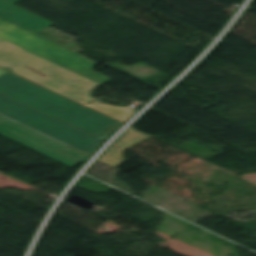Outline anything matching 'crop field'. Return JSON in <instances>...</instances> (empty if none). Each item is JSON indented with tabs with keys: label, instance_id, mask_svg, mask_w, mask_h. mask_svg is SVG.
I'll return each mask as SVG.
<instances>
[{
	"label": "crop field",
	"instance_id": "obj_1",
	"mask_svg": "<svg viewBox=\"0 0 256 256\" xmlns=\"http://www.w3.org/2000/svg\"><path fill=\"white\" fill-rule=\"evenodd\" d=\"M0 92L102 139L112 132L106 127L116 122L11 73L0 77Z\"/></svg>",
	"mask_w": 256,
	"mask_h": 256
},
{
	"label": "crop field",
	"instance_id": "obj_2",
	"mask_svg": "<svg viewBox=\"0 0 256 256\" xmlns=\"http://www.w3.org/2000/svg\"><path fill=\"white\" fill-rule=\"evenodd\" d=\"M0 114L90 155L100 145V138L1 93Z\"/></svg>",
	"mask_w": 256,
	"mask_h": 256
},
{
	"label": "crop field",
	"instance_id": "obj_3",
	"mask_svg": "<svg viewBox=\"0 0 256 256\" xmlns=\"http://www.w3.org/2000/svg\"><path fill=\"white\" fill-rule=\"evenodd\" d=\"M0 38L56 62L100 84L112 79L91 70L96 62L0 19Z\"/></svg>",
	"mask_w": 256,
	"mask_h": 256
},
{
	"label": "crop field",
	"instance_id": "obj_4",
	"mask_svg": "<svg viewBox=\"0 0 256 256\" xmlns=\"http://www.w3.org/2000/svg\"><path fill=\"white\" fill-rule=\"evenodd\" d=\"M0 135L69 167L88 156L0 116Z\"/></svg>",
	"mask_w": 256,
	"mask_h": 256
},
{
	"label": "crop field",
	"instance_id": "obj_5",
	"mask_svg": "<svg viewBox=\"0 0 256 256\" xmlns=\"http://www.w3.org/2000/svg\"><path fill=\"white\" fill-rule=\"evenodd\" d=\"M21 0H0V18L33 34L53 24L13 4Z\"/></svg>",
	"mask_w": 256,
	"mask_h": 256
},
{
	"label": "crop field",
	"instance_id": "obj_6",
	"mask_svg": "<svg viewBox=\"0 0 256 256\" xmlns=\"http://www.w3.org/2000/svg\"><path fill=\"white\" fill-rule=\"evenodd\" d=\"M152 137H149L133 128H130L116 143L115 145L120 146L124 149H127L131 146H134L138 143H141L145 140H148Z\"/></svg>",
	"mask_w": 256,
	"mask_h": 256
},
{
	"label": "crop field",
	"instance_id": "obj_7",
	"mask_svg": "<svg viewBox=\"0 0 256 256\" xmlns=\"http://www.w3.org/2000/svg\"><path fill=\"white\" fill-rule=\"evenodd\" d=\"M123 150L116 147H111L110 150L100 159L113 167L120 165L124 162L123 156L121 155Z\"/></svg>",
	"mask_w": 256,
	"mask_h": 256
},
{
	"label": "crop field",
	"instance_id": "obj_8",
	"mask_svg": "<svg viewBox=\"0 0 256 256\" xmlns=\"http://www.w3.org/2000/svg\"><path fill=\"white\" fill-rule=\"evenodd\" d=\"M120 124H121V122H118V123H116V124H114V125H112V126H110V127H108V128L114 130V129H115L116 127H118Z\"/></svg>",
	"mask_w": 256,
	"mask_h": 256
},
{
	"label": "crop field",
	"instance_id": "obj_9",
	"mask_svg": "<svg viewBox=\"0 0 256 256\" xmlns=\"http://www.w3.org/2000/svg\"><path fill=\"white\" fill-rule=\"evenodd\" d=\"M6 73H8V72H6V71L0 69V76L4 75V74H6Z\"/></svg>",
	"mask_w": 256,
	"mask_h": 256
}]
</instances>
